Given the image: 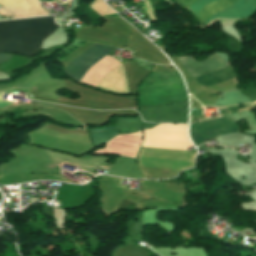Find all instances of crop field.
Segmentation results:
<instances>
[{
	"label": "crop field",
	"instance_id": "obj_1",
	"mask_svg": "<svg viewBox=\"0 0 256 256\" xmlns=\"http://www.w3.org/2000/svg\"><path fill=\"white\" fill-rule=\"evenodd\" d=\"M56 28L53 16L0 22V52L32 56Z\"/></svg>",
	"mask_w": 256,
	"mask_h": 256
},
{
	"label": "crop field",
	"instance_id": "obj_2",
	"mask_svg": "<svg viewBox=\"0 0 256 256\" xmlns=\"http://www.w3.org/2000/svg\"><path fill=\"white\" fill-rule=\"evenodd\" d=\"M194 0H177L179 5L188 7ZM210 0H196L190 5L189 8L196 13L204 4ZM235 0H211L205 6H203L197 13V17L201 23L209 17L214 11L218 10L222 6L233 2ZM256 11V0H238L230 3L218 11L214 12L203 24L210 23L215 17H247L252 15Z\"/></svg>",
	"mask_w": 256,
	"mask_h": 256
},
{
	"label": "crop field",
	"instance_id": "obj_3",
	"mask_svg": "<svg viewBox=\"0 0 256 256\" xmlns=\"http://www.w3.org/2000/svg\"><path fill=\"white\" fill-rule=\"evenodd\" d=\"M93 143L96 146L104 143L118 133V129L107 127L102 129H89ZM142 140V130L137 133L119 135L105 142V149H99L93 153L107 155H122L135 158Z\"/></svg>",
	"mask_w": 256,
	"mask_h": 256
},
{
	"label": "crop field",
	"instance_id": "obj_4",
	"mask_svg": "<svg viewBox=\"0 0 256 256\" xmlns=\"http://www.w3.org/2000/svg\"><path fill=\"white\" fill-rule=\"evenodd\" d=\"M156 127H171V128H187V125L159 124ZM155 130H177L187 131V129H170V128H151ZM144 130V142L141 146L163 148V149H178L187 150V147L192 146L187 132L177 131H155Z\"/></svg>",
	"mask_w": 256,
	"mask_h": 256
},
{
	"label": "crop field",
	"instance_id": "obj_5",
	"mask_svg": "<svg viewBox=\"0 0 256 256\" xmlns=\"http://www.w3.org/2000/svg\"><path fill=\"white\" fill-rule=\"evenodd\" d=\"M222 116V115H219ZM217 116V117H219ZM240 126L222 116L216 119L203 120L190 125V138L196 146L214 137L240 132Z\"/></svg>",
	"mask_w": 256,
	"mask_h": 256
},
{
	"label": "crop field",
	"instance_id": "obj_6",
	"mask_svg": "<svg viewBox=\"0 0 256 256\" xmlns=\"http://www.w3.org/2000/svg\"><path fill=\"white\" fill-rule=\"evenodd\" d=\"M5 17L24 18L50 15L38 0H0Z\"/></svg>",
	"mask_w": 256,
	"mask_h": 256
},
{
	"label": "crop field",
	"instance_id": "obj_7",
	"mask_svg": "<svg viewBox=\"0 0 256 256\" xmlns=\"http://www.w3.org/2000/svg\"><path fill=\"white\" fill-rule=\"evenodd\" d=\"M91 48V47H90ZM110 49L93 46L88 51L78 56L65 70L62 72L79 82L86 70L96 63L103 56L108 54Z\"/></svg>",
	"mask_w": 256,
	"mask_h": 256
},
{
	"label": "crop field",
	"instance_id": "obj_8",
	"mask_svg": "<svg viewBox=\"0 0 256 256\" xmlns=\"http://www.w3.org/2000/svg\"><path fill=\"white\" fill-rule=\"evenodd\" d=\"M178 59L193 78L207 70L225 66L223 61L214 53L205 60L199 62H196L192 57L189 56L180 57Z\"/></svg>",
	"mask_w": 256,
	"mask_h": 256
},
{
	"label": "crop field",
	"instance_id": "obj_9",
	"mask_svg": "<svg viewBox=\"0 0 256 256\" xmlns=\"http://www.w3.org/2000/svg\"><path fill=\"white\" fill-rule=\"evenodd\" d=\"M234 76H236V74H235L232 66L229 65L222 69L202 74V75L196 77L195 80L201 84L210 86L214 83L232 78Z\"/></svg>",
	"mask_w": 256,
	"mask_h": 256
},
{
	"label": "crop field",
	"instance_id": "obj_10",
	"mask_svg": "<svg viewBox=\"0 0 256 256\" xmlns=\"http://www.w3.org/2000/svg\"><path fill=\"white\" fill-rule=\"evenodd\" d=\"M12 55L10 54H3V53H0V63L8 60L9 58H11Z\"/></svg>",
	"mask_w": 256,
	"mask_h": 256
},
{
	"label": "crop field",
	"instance_id": "obj_11",
	"mask_svg": "<svg viewBox=\"0 0 256 256\" xmlns=\"http://www.w3.org/2000/svg\"><path fill=\"white\" fill-rule=\"evenodd\" d=\"M40 1H48V2H52V1H54V0H40Z\"/></svg>",
	"mask_w": 256,
	"mask_h": 256
},
{
	"label": "crop field",
	"instance_id": "obj_12",
	"mask_svg": "<svg viewBox=\"0 0 256 256\" xmlns=\"http://www.w3.org/2000/svg\"><path fill=\"white\" fill-rule=\"evenodd\" d=\"M115 94V93H114Z\"/></svg>",
	"mask_w": 256,
	"mask_h": 256
}]
</instances>
